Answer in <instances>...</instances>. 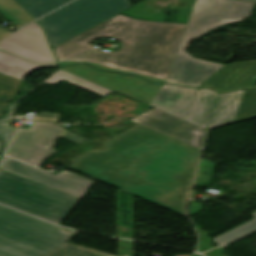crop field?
Wrapping results in <instances>:
<instances>
[{
  "mask_svg": "<svg viewBox=\"0 0 256 256\" xmlns=\"http://www.w3.org/2000/svg\"><path fill=\"white\" fill-rule=\"evenodd\" d=\"M104 146L67 168L188 217L200 149L139 124Z\"/></svg>",
  "mask_w": 256,
  "mask_h": 256,
  "instance_id": "crop-field-1",
  "label": "crop field"
},
{
  "mask_svg": "<svg viewBox=\"0 0 256 256\" xmlns=\"http://www.w3.org/2000/svg\"><path fill=\"white\" fill-rule=\"evenodd\" d=\"M187 24L134 20L116 16L56 47L57 60H79L95 50L90 42L111 37L122 42L119 51H94L82 60L167 79Z\"/></svg>",
  "mask_w": 256,
  "mask_h": 256,
  "instance_id": "crop-field-2",
  "label": "crop field"
},
{
  "mask_svg": "<svg viewBox=\"0 0 256 256\" xmlns=\"http://www.w3.org/2000/svg\"><path fill=\"white\" fill-rule=\"evenodd\" d=\"M253 3L238 0H197L178 53L166 82L198 87L223 65L191 58L182 53L187 40L198 37L213 26L249 16Z\"/></svg>",
  "mask_w": 256,
  "mask_h": 256,
  "instance_id": "crop-field-3",
  "label": "crop field"
},
{
  "mask_svg": "<svg viewBox=\"0 0 256 256\" xmlns=\"http://www.w3.org/2000/svg\"><path fill=\"white\" fill-rule=\"evenodd\" d=\"M73 235L0 206V256H44Z\"/></svg>",
  "mask_w": 256,
  "mask_h": 256,
  "instance_id": "crop-field-4",
  "label": "crop field"
},
{
  "mask_svg": "<svg viewBox=\"0 0 256 256\" xmlns=\"http://www.w3.org/2000/svg\"><path fill=\"white\" fill-rule=\"evenodd\" d=\"M77 201L78 198L0 170L1 203L59 224Z\"/></svg>",
  "mask_w": 256,
  "mask_h": 256,
  "instance_id": "crop-field-5",
  "label": "crop field"
},
{
  "mask_svg": "<svg viewBox=\"0 0 256 256\" xmlns=\"http://www.w3.org/2000/svg\"><path fill=\"white\" fill-rule=\"evenodd\" d=\"M130 7L128 0H75L37 21L54 47Z\"/></svg>",
  "mask_w": 256,
  "mask_h": 256,
  "instance_id": "crop-field-6",
  "label": "crop field"
},
{
  "mask_svg": "<svg viewBox=\"0 0 256 256\" xmlns=\"http://www.w3.org/2000/svg\"><path fill=\"white\" fill-rule=\"evenodd\" d=\"M58 137L76 144L86 140L55 125L33 123L31 130H18L6 155L39 167L43 159L55 152L52 147Z\"/></svg>",
  "mask_w": 256,
  "mask_h": 256,
  "instance_id": "crop-field-7",
  "label": "crop field"
},
{
  "mask_svg": "<svg viewBox=\"0 0 256 256\" xmlns=\"http://www.w3.org/2000/svg\"><path fill=\"white\" fill-rule=\"evenodd\" d=\"M61 69L145 104L151 102L162 86V84H153L137 77L99 71L84 64L64 67Z\"/></svg>",
  "mask_w": 256,
  "mask_h": 256,
  "instance_id": "crop-field-8",
  "label": "crop field"
},
{
  "mask_svg": "<svg viewBox=\"0 0 256 256\" xmlns=\"http://www.w3.org/2000/svg\"><path fill=\"white\" fill-rule=\"evenodd\" d=\"M0 169L78 198L84 197L93 184V181L66 171L54 175L8 157H5Z\"/></svg>",
  "mask_w": 256,
  "mask_h": 256,
  "instance_id": "crop-field-9",
  "label": "crop field"
},
{
  "mask_svg": "<svg viewBox=\"0 0 256 256\" xmlns=\"http://www.w3.org/2000/svg\"><path fill=\"white\" fill-rule=\"evenodd\" d=\"M137 123L162 132L191 146L202 148L206 130L154 109L136 119Z\"/></svg>",
  "mask_w": 256,
  "mask_h": 256,
  "instance_id": "crop-field-10",
  "label": "crop field"
},
{
  "mask_svg": "<svg viewBox=\"0 0 256 256\" xmlns=\"http://www.w3.org/2000/svg\"><path fill=\"white\" fill-rule=\"evenodd\" d=\"M0 47L40 64L56 61L43 31L36 22L15 32L2 42Z\"/></svg>",
  "mask_w": 256,
  "mask_h": 256,
  "instance_id": "crop-field-11",
  "label": "crop field"
},
{
  "mask_svg": "<svg viewBox=\"0 0 256 256\" xmlns=\"http://www.w3.org/2000/svg\"><path fill=\"white\" fill-rule=\"evenodd\" d=\"M245 94L249 97H245ZM255 116L256 89L219 93L208 128Z\"/></svg>",
  "mask_w": 256,
  "mask_h": 256,
  "instance_id": "crop-field-12",
  "label": "crop field"
},
{
  "mask_svg": "<svg viewBox=\"0 0 256 256\" xmlns=\"http://www.w3.org/2000/svg\"><path fill=\"white\" fill-rule=\"evenodd\" d=\"M256 86V61L226 64L199 87H212L225 92L242 87Z\"/></svg>",
  "mask_w": 256,
  "mask_h": 256,
  "instance_id": "crop-field-13",
  "label": "crop field"
},
{
  "mask_svg": "<svg viewBox=\"0 0 256 256\" xmlns=\"http://www.w3.org/2000/svg\"><path fill=\"white\" fill-rule=\"evenodd\" d=\"M196 90L163 84L149 105L184 120Z\"/></svg>",
  "mask_w": 256,
  "mask_h": 256,
  "instance_id": "crop-field-14",
  "label": "crop field"
},
{
  "mask_svg": "<svg viewBox=\"0 0 256 256\" xmlns=\"http://www.w3.org/2000/svg\"><path fill=\"white\" fill-rule=\"evenodd\" d=\"M217 94L209 89H198L185 120L206 129Z\"/></svg>",
  "mask_w": 256,
  "mask_h": 256,
  "instance_id": "crop-field-15",
  "label": "crop field"
},
{
  "mask_svg": "<svg viewBox=\"0 0 256 256\" xmlns=\"http://www.w3.org/2000/svg\"><path fill=\"white\" fill-rule=\"evenodd\" d=\"M0 14L18 27L32 21L12 0H0ZM9 34L11 33L0 27V41Z\"/></svg>",
  "mask_w": 256,
  "mask_h": 256,
  "instance_id": "crop-field-16",
  "label": "crop field"
},
{
  "mask_svg": "<svg viewBox=\"0 0 256 256\" xmlns=\"http://www.w3.org/2000/svg\"><path fill=\"white\" fill-rule=\"evenodd\" d=\"M61 80H67L79 87H82L84 89H87L89 91H92L94 93H97L103 97H105L106 95L112 93V91L97 85L95 83L89 82L87 80H84L82 78H79L73 74H70L64 70L59 69L58 71H56L54 74H52L50 77H48L46 80H44V82L52 84V83H57Z\"/></svg>",
  "mask_w": 256,
  "mask_h": 256,
  "instance_id": "crop-field-17",
  "label": "crop field"
},
{
  "mask_svg": "<svg viewBox=\"0 0 256 256\" xmlns=\"http://www.w3.org/2000/svg\"><path fill=\"white\" fill-rule=\"evenodd\" d=\"M34 20L71 0H14ZM46 15V14H45Z\"/></svg>",
  "mask_w": 256,
  "mask_h": 256,
  "instance_id": "crop-field-18",
  "label": "crop field"
},
{
  "mask_svg": "<svg viewBox=\"0 0 256 256\" xmlns=\"http://www.w3.org/2000/svg\"><path fill=\"white\" fill-rule=\"evenodd\" d=\"M0 60L15 66L12 72L10 73V76L17 78L21 81H23L26 74L30 71L48 66H58L57 63L50 64L47 66H39L30 61L21 59L15 55H12L2 50H0Z\"/></svg>",
  "mask_w": 256,
  "mask_h": 256,
  "instance_id": "crop-field-19",
  "label": "crop field"
},
{
  "mask_svg": "<svg viewBox=\"0 0 256 256\" xmlns=\"http://www.w3.org/2000/svg\"><path fill=\"white\" fill-rule=\"evenodd\" d=\"M22 82L0 73V117Z\"/></svg>",
  "mask_w": 256,
  "mask_h": 256,
  "instance_id": "crop-field-20",
  "label": "crop field"
},
{
  "mask_svg": "<svg viewBox=\"0 0 256 256\" xmlns=\"http://www.w3.org/2000/svg\"><path fill=\"white\" fill-rule=\"evenodd\" d=\"M46 256H113L96 250L80 247L74 244L66 243L53 250ZM190 256V255H188Z\"/></svg>",
  "mask_w": 256,
  "mask_h": 256,
  "instance_id": "crop-field-21",
  "label": "crop field"
},
{
  "mask_svg": "<svg viewBox=\"0 0 256 256\" xmlns=\"http://www.w3.org/2000/svg\"><path fill=\"white\" fill-rule=\"evenodd\" d=\"M253 216L256 218V213L253 214ZM256 229V219L214 239L215 242L219 243L220 245L218 246H221V245H224L226 243H229L253 230ZM216 246V247H218Z\"/></svg>",
  "mask_w": 256,
  "mask_h": 256,
  "instance_id": "crop-field-22",
  "label": "crop field"
},
{
  "mask_svg": "<svg viewBox=\"0 0 256 256\" xmlns=\"http://www.w3.org/2000/svg\"><path fill=\"white\" fill-rule=\"evenodd\" d=\"M14 103L10 104V107L8 109V111L6 112L5 116L0 119V138L3 140L4 142V147H3V152L0 158V161L8 147V144L16 130V128L11 127L8 125V121H6L5 119L10 115V113L12 112L13 108H14Z\"/></svg>",
  "mask_w": 256,
  "mask_h": 256,
  "instance_id": "crop-field-23",
  "label": "crop field"
},
{
  "mask_svg": "<svg viewBox=\"0 0 256 256\" xmlns=\"http://www.w3.org/2000/svg\"><path fill=\"white\" fill-rule=\"evenodd\" d=\"M74 63H80V62L69 61V62H61V63H59V64H60V65H65V64H74ZM85 63L91 64V65H93V66H96V67H98V68H100V69H104V70H109V71H114V72H120V73H125V74H130V75H139V74L130 73V72L117 71V70H114V69H111V68H107V67H104V66H100V65H96V64H93V63H90V62H85ZM139 76L145 77L146 79L151 80V81H153V82H164L163 80H159V79H155V78H151V77H147V76H143V75H139Z\"/></svg>",
  "mask_w": 256,
  "mask_h": 256,
  "instance_id": "crop-field-24",
  "label": "crop field"
},
{
  "mask_svg": "<svg viewBox=\"0 0 256 256\" xmlns=\"http://www.w3.org/2000/svg\"><path fill=\"white\" fill-rule=\"evenodd\" d=\"M60 114H53V113H40L34 118L31 119V121L36 122H53L56 123L58 117Z\"/></svg>",
  "mask_w": 256,
  "mask_h": 256,
  "instance_id": "crop-field-25",
  "label": "crop field"
},
{
  "mask_svg": "<svg viewBox=\"0 0 256 256\" xmlns=\"http://www.w3.org/2000/svg\"><path fill=\"white\" fill-rule=\"evenodd\" d=\"M12 69H13V66L0 62V72L9 75Z\"/></svg>",
  "mask_w": 256,
  "mask_h": 256,
  "instance_id": "crop-field-26",
  "label": "crop field"
},
{
  "mask_svg": "<svg viewBox=\"0 0 256 256\" xmlns=\"http://www.w3.org/2000/svg\"><path fill=\"white\" fill-rule=\"evenodd\" d=\"M242 19H244V18H242ZM231 22H236V21H228V22H226V23H231ZM226 23H225V24H226ZM214 28H215V27H214ZM211 29H213V28H211Z\"/></svg>",
  "mask_w": 256,
  "mask_h": 256,
  "instance_id": "crop-field-27",
  "label": "crop field"
},
{
  "mask_svg": "<svg viewBox=\"0 0 256 256\" xmlns=\"http://www.w3.org/2000/svg\"><path fill=\"white\" fill-rule=\"evenodd\" d=\"M244 1L256 2V0H244Z\"/></svg>",
  "mask_w": 256,
  "mask_h": 256,
  "instance_id": "crop-field-28",
  "label": "crop field"
},
{
  "mask_svg": "<svg viewBox=\"0 0 256 256\" xmlns=\"http://www.w3.org/2000/svg\"><path fill=\"white\" fill-rule=\"evenodd\" d=\"M0 151H1V141H0Z\"/></svg>",
  "mask_w": 256,
  "mask_h": 256,
  "instance_id": "crop-field-29",
  "label": "crop field"
}]
</instances>
